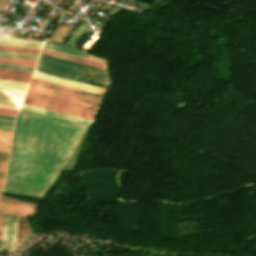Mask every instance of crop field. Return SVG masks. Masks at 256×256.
<instances>
[{"label": "crop field", "instance_id": "8a807250", "mask_svg": "<svg viewBox=\"0 0 256 256\" xmlns=\"http://www.w3.org/2000/svg\"><path fill=\"white\" fill-rule=\"evenodd\" d=\"M84 128L21 109L4 190L41 196L69 159Z\"/></svg>", "mask_w": 256, "mask_h": 256}, {"label": "crop field", "instance_id": "ac0d7876", "mask_svg": "<svg viewBox=\"0 0 256 256\" xmlns=\"http://www.w3.org/2000/svg\"><path fill=\"white\" fill-rule=\"evenodd\" d=\"M36 71L64 77L81 82L82 79L105 84L106 78L102 69L40 55Z\"/></svg>", "mask_w": 256, "mask_h": 256}, {"label": "crop field", "instance_id": "34b2d1b8", "mask_svg": "<svg viewBox=\"0 0 256 256\" xmlns=\"http://www.w3.org/2000/svg\"><path fill=\"white\" fill-rule=\"evenodd\" d=\"M23 103L91 121L97 109L29 90Z\"/></svg>", "mask_w": 256, "mask_h": 256}, {"label": "crop field", "instance_id": "412701ff", "mask_svg": "<svg viewBox=\"0 0 256 256\" xmlns=\"http://www.w3.org/2000/svg\"><path fill=\"white\" fill-rule=\"evenodd\" d=\"M28 89L93 107L100 96L33 78Z\"/></svg>", "mask_w": 256, "mask_h": 256}, {"label": "crop field", "instance_id": "f4fd0767", "mask_svg": "<svg viewBox=\"0 0 256 256\" xmlns=\"http://www.w3.org/2000/svg\"><path fill=\"white\" fill-rule=\"evenodd\" d=\"M28 84L0 81V107L18 109Z\"/></svg>", "mask_w": 256, "mask_h": 256}, {"label": "crop field", "instance_id": "dd49c442", "mask_svg": "<svg viewBox=\"0 0 256 256\" xmlns=\"http://www.w3.org/2000/svg\"><path fill=\"white\" fill-rule=\"evenodd\" d=\"M2 218H3V213L0 212V242H1ZM17 221H18L17 216L4 213L1 248L15 246Z\"/></svg>", "mask_w": 256, "mask_h": 256}, {"label": "crop field", "instance_id": "e52e79f7", "mask_svg": "<svg viewBox=\"0 0 256 256\" xmlns=\"http://www.w3.org/2000/svg\"><path fill=\"white\" fill-rule=\"evenodd\" d=\"M32 77L50 81V82H54V83H58V84H62V85H66V86H70V87H74V88H78V89H82V90H86V91H90V92H94V93H97V91L99 90V87H95V86L59 78L56 76H52V75H48V74H44V73H40V72H36V71L34 72Z\"/></svg>", "mask_w": 256, "mask_h": 256}, {"label": "crop field", "instance_id": "d8731c3e", "mask_svg": "<svg viewBox=\"0 0 256 256\" xmlns=\"http://www.w3.org/2000/svg\"><path fill=\"white\" fill-rule=\"evenodd\" d=\"M32 72L0 68V80L28 83Z\"/></svg>", "mask_w": 256, "mask_h": 256}, {"label": "crop field", "instance_id": "5a996713", "mask_svg": "<svg viewBox=\"0 0 256 256\" xmlns=\"http://www.w3.org/2000/svg\"><path fill=\"white\" fill-rule=\"evenodd\" d=\"M41 53L106 69L104 63L78 58L44 48Z\"/></svg>", "mask_w": 256, "mask_h": 256}, {"label": "crop field", "instance_id": "3316defc", "mask_svg": "<svg viewBox=\"0 0 256 256\" xmlns=\"http://www.w3.org/2000/svg\"><path fill=\"white\" fill-rule=\"evenodd\" d=\"M0 210L21 215V216H32L34 212L33 209L17 206V205L2 202V201H0Z\"/></svg>", "mask_w": 256, "mask_h": 256}, {"label": "crop field", "instance_id": "28ad6ade", "mask_svg": "<svg viewBox=\"0 0 256 256\" xmlns=\"http://www.w3.org/2000/svg\"><path fill=\"white\" fill-rule=\"evenodd\" d=\"M21 108L31 110V111H35V112H39V113H43V114H47V115H51V116H56V117L72 120V121H76V122H80V123H84V124H88V125L91 124V121H87V120H83V119H79V118L59 114V113H56V112H52V111H48V110H44V109H40V108L28 106V105H24V104L22 105Z\"/></svg>", "mask_w": 256, "mask_h": 256}, {"label": "crop field", "instance_id": "d1516ede", "mask_svg": "<svg viewBox=\"0 0 256 256\" xmlns=\"http://www.w3.org/2000/svg\"><path fill=\"white\" fill-rule=\"evenodd\" d=\"M0 44L40 49L43 43L0 38Z\"/></svg>", "mask_w": 256, "mask_h": 256}, {"label": "crop field", "instance_id": "22f410ed", "mask_svg": "<svg viewBox=\"0 0 256 256\" xmlns=\"http://www.w3.org/2000/svg\"><path fill=\"white\" fill-rule=\"evenodd\" d=\"M14 123L1 122L0 130L12 131ZM0 131V143L10 144L12 132Z\"/></svg>", "mask_w": 256, "mask_h": 256}, {"label": "crop field", "instance_id": "cbeb9de0", "mask_svg": "<svg viewBox=\"0 0 256 256\" xmlns=\"http://www.w3.org/2000/svg\"><path fill=\"white\" fill-rule=\"evenodd\" d=\"M43 47L52 49V50H56V51H60V52H64V53H68V54H72V55H76V56H80V57H84V58L89 57V54H86L84 52L66 48V47H62V46H58V45H54V44H50V43H46V42L44 43Z\"/></svg>", "mask_w": 256, "mask_h": 256}, {"label": "crop field", "instance_id": "5142ce71", "mask_svg": "<svg viewBox=\"0 0 256 256\" xmlns=\"http://www.w3.org/2000/svg\"><path fill=\"white\" fill-rule=\"evenodd\" d=\"M10 145L0 144V152L9 153ZM0 153V178H4L9 154Z\"/></svg>", "mask_w": 256, "mask_h": 256}, {"label": "crop field", "instance_id": "d9b57169", "mask_svg": "<svg viewBox=\"0 0 256 256\" xmlns=\"http://www.w3.org/2000/svg\"><path fill=\"white\" fill-rule=\"evenodd\" d=\"M72 28L73 26L59 25L54 33L50 36L49 40L61 43Z\"/></svg>", "mask_w": 256, "mask_h": 256}, {"label": "crop field", "instance_id": "733c2abd", "mask_svg": "<svg viewBox=\"0 0 256 256\" xmlns=\"http://www.w3.org/2000/svg\"><path fill=\"white\" fill-rule=\"evenodd\" d=\"M35 62L36 61H32V60L0 57V63H5V64H14V65H22V66L34 67L35 66Z\"/></svg>", "mask_w": 256, "mask_h": 256}, {"label": "crop field", "instance_id": "4a817a6b", "mask_svg": "<svg viewBox=\"0 0 256 256\" xmlns=\"http://www.w3.org/2000/svg\"><path fill=\"white\" fill-rule=\"evenodd\" d=\"M88 23L85 19L84 22L81 23V25L78 27V29L74 32V34L71 36V38L67 41V45L73 46L75 42L81 37V35L84 33V31L88 27Z\"/></svg>", "mask_w": 256, "mask_h": 256}, {"label": "crop field", "instance_id": "bc2a9ffb", "mask_svg": "<svg viewBox=\"0 0 256 256\" xmlns=\"http://www.w3.org/2000/svg\"><path fill=\"white\" fill-rule=\"evenodd\" d=\"M0 56L36 60L38 55L26 54V53H17V52H8V51H0Z\"/></svg>", "mask_w": 256, "mask_h": 256}, {"label": "crop field", "instance_id": "214f88e0", "mask_svg": "<svg viewBox=\"0 0 256 256\" xmlns=\"http://www.w3.org/2000/svg\"><path fill=\"white\" fill-rule=\"evenodd\" d=\"M0 50L38 54L40 50L0 45Z\"/></svg>", "mask_w": 256, "mask_h": 256}, {"label": "crop field", "instance_id": "92a150f3", "mask_svg": "<svg viewBox=\"0 0 256 256\" xmlns=\"http://www.w3.org/2000/svg\"><path fill=\"white\" fill-rule=\"evenodd\" d=\"M0 200L10 202V203H14V204L21 205V206H25V207H29V208H33V209L36 206L35 204H31V203H27V202L15 200V199L3 197V196L0 197Z\"/></svg>", "mask_w": 256, "mask_h": 256}, {"label": "crop field", "instance_id": "dafd665d", "mask_svg": "<svg viewBox=\"0 0 256 256\" xmlns=\"http://www.w3.org/2000/svg\"><path fill=\"white\" fill-rule=\"evenodd\" d=\"M0 67H2V68H10V69H19V70H28V71H32L33 70V68H30V67L5 65V64H0Z\"/></svg>", "mask_w": 256, "mask_h": 256}, {"label": "crop field", "instance_id": "00972430", "mask_svg": "<svg viewBox=\"0 0 256 256\" xmlns=\"http://www.w3.org/2000/svg\"><path fill=\"white\" fill-rule=\"evenodd\" d=\"M18 110L0 108V114L15 116Z\"/></svg>", "mask_w": 256, "mask_h": 256}, {"label": "crop field", "instance_id": "a9b5d70f", "mask_svg": "<svg viewBox=\"0 0 256 256\" xmlns=\"http://www.w3.org/2000/svg\"><path fill=\"white\" fill-rule=\"evenodd\" d=\"M15 117H11V116H2L0 115V119L1 120H9V121H14Z\"/></svg>", "mask_w": 256, "mask_h": 256}, {"label": "crop field", "instance_id": "4177f3b9", "mask_svg": "<svg viewBox=\"0 0 256 256\" xmlns=\"http://www.w3.org/2000/svg\"><path fill=\"white\" fill-rule=\"evenodd\" d=\"M8 0H0V12L3 9V7L5 6V4L7 3Z\"/></svg>", "mask_w": 256, "mask_h": 256}, {"label": "crop field", "instance_id": "730fd06b", "mask_svg": "<svg viewBox=\"0 0 256 256\" xmlns=\"http://www.w3.org/2000/svg\"><path fill=\"white\" fill-rule=\"evenodd\" d=\"M3 182H4V179H0V195L2 194V190H3Z\"/></svg>", "mask_w": 256, "mask_h": 256}]
</instances>
